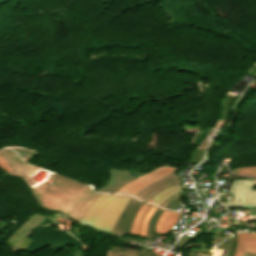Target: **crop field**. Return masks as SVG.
<instances>
[{
	"label": "crop field",
	"mask_w": 256,
	"mask_h": 256,
	"mask_svg": "<svg viewBox=\"0 0 256 256\" xmlns=\"http://www.w3.org/2000/svg\"><path fill=\"white\" fill-rule=\"evenodd\" d=\"M235 174L256 176V167H244L232 171Z\"/></svg>",
	"instance_id": "obj_1"
}]
</instances>
